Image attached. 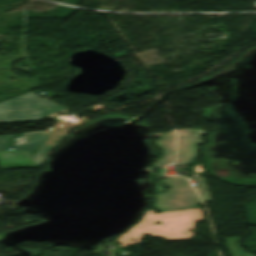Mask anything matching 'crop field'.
<instances>
[{"label":"crop field","instance_id":"9","mask_svg":"<svg viewBox=\"0 0 256 256\" xmlns=\"http://www.w3.org/2000/svg\"><path fill=\"white\" fill-rule=\"evenodd\" d=\"M193 180L196 182L198 186L196 187V190L199 193L200 197L202 198L203 202L205 203V202L211 201L210 191L206 184L205 178L196 177V178H193Z\"/></svg>","mask_w":256,"mask_h":256},{"label":"crop field","instance_id":"10","mask_svg":"<svg viewBox=\"0 0 256 256\" xmlns=\"http://www.w3.org/2000/svg\"><path fill=\"white\" fill-rule=\"evenodd\" d=\"M69 110L55 104L52 108H50L46 114L43 116L44 120L48 119H54V118H60V116L55 115V113L58 114H67Z\"/></svg>","mask_w":256,"mask_h":256},{"label":"crop field","instance_id":"3","mask_svg":"<svg viewBox=\"0 0 256 256\" xmlns=\"http://www.w3.org/2000/svg\"><path fill=\"white\" fill-rule=\"evenodd\" d=\"M160 182L168 184L172 190H162ZM200 203L197 194L185 178L163 179L158 182L155 207L159 212L201 207L195 206Z\"/></svg>","mask_w":256,"mask_h":256},{"label":"crop field","instance_id":"7","mask_svg":"<svg viewBox=\"0 0 256 256\" xmlns=\"http://www.w3.org/2000/svg\"><path fill=\"white\" fill-rule=\"evenodd\" d=\"M156 144L163 150V157L157 160L154 163V166L163 170L166 164H171L175 161V132L173 131L167 135L160 136V139L159 141H156Z\"/></svg>","mask_w":256,"mask_h":256},{"label":"crop field","instance_id":"5","mask_svg":"<svg viewBox=\"0 0 256 256\" xmlns=\"http://www.w3.org/2000/svg\"><path fill=\"white\" fill-rule=\"evenodd\" d=\"M190 131H195L206 135L209 134L199 129L177 131L179 137L178 159L176 161L177 165L174 166L191 165V161L195 160L197 157L196 141H198L199 144H202V135L191 133Z\"/></svg>","mask_w":256,"mask_h":256},{"label":"crop field","instance_id":"11","mask_svg":"<svg viewBox=\"0 0 256 256\" xmlns=\"http://www.w3.org/2000/svg\"><path fill=\"white\" fill-rule=\"evenodd\" d=\"M158 176L159 177H163L164 175H163V171H158Z\"/></svg>","mask_w":256,"mask_h":256},{"label":"crop field","instance_id":"4","mask_svg":"<svg viewBox=\"0 0 256 256\" xmlns=\"http://www.w3.org/2000/svg\"><path fill=\"white\" fill-rule=\"evenodd\" d=\"M65 138H67L66 132L45 131L23 133L14 138L13 148L19 151L29 150L34 165L39 167L46 163L49 153ZM40 143L42 144L38 151L33 153L32 150H36ZM48 151L50 152L45 155Z\"/></svg>","mask_w":256,"mask_h":256},{"label":"crop field","instance_id":"6","mask_svg":"<svg viewBox=\"0 0 256 256\" xmlns=\"http://www.w3.org/2000/svg\"><path fill=\"white\" fill-rule=\"evenodd\" d=\"M12 136H0V165L2 169L34 167L28 151L19 152L17 150L10 151L8 148L12 146Z\"/></svg>","mask_w":256,"mask_h":256},{"label":"crop field","instance_id":"1","mask_svg":"<svg viewBox=\"0 0 256 256\" xmlns=\"http://www.w3.org/2000/svg\"><path fill=\"white\" fill-rule=\"evenodd\" d=\"M154 212L147 210L137 226L120 236L122 246L140 242L144 234L161 237L166 241L193 239L190 237H193L194 221L204 220L201 209L160 214ZM157 222H161V225H157Z\"/></svg>","mask_w":256,"mask_h":256},{"label":"crop field","instance_id":"8","mask_svg":"<svg viewBox=\"0 0 256 256\" xmlns=\"http://www.w3.org/2000/svg\"><path fill=\"white\" fill-rule=\"evenodd\" d=\"M224 241L231 253V256H254L249 253H243L242 248L239 247V238H224Z\"/></svg>","mask_w":256,"mask_h":256},{"label":"crop field","instance_id":"2","mask_svg":"<svg viewBox=\"0 0 256 256\" xmlns=\"http://www.w3.org/2000/svg\"><path fill=\"white\" fill-rule=\"evenodd\" d=\"M54 103L31 93L0 103V123L43 120Z\"/></svg>","mask_w":256,"mask_h":256}]
</instances>
